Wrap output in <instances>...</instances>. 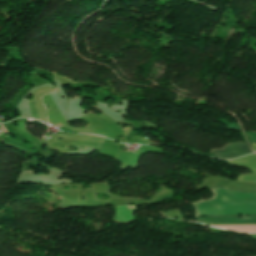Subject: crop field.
I'll return each mask as SVG.
<instances>
[{
  "mask_svg": "<svg viewBox=\"0 0 256 256\" xmlns=\"http://www.w3.org/2000/svg\"><path fill=\"white\" fill-rule=\"evenodd\" d=\"M211 153L216 157L232 159L252 153V151L247 147L245 142H240L228 144L223 149L212 150Z\"/></svg>",
  "mask_w": 256,
  "mask_h": 256,
  "instance_id": "8a807250",
  "label": "crop field"
},
{
  "mask_svg": "<svg viewBox=\"0 0 256 256\" xmlns=\"http://www.w3.org/2000/svg\"><path fill=\"white\" fill-rule=\"evenodd\" d=\"M197 220L206 225H219V224H256V216H244L243 219L238 217L230 218H209V217H196Z\"/></svg>",
  "mask_w": 256,
  "mask_h": 256,
  "instance_id": "ac0d7876",
  "label": "crop field"
},
{
  "mask_svg": "<svg viewBox=\"0 0 256 256\" xmlns=\"http://www.w3.org/2000/svg\"><path fill=\"white\" fill-rule=\"evenodd\" d=\"M215 227L231 229L238 232L256 233V225H221Z\"/></svg>",
  "mask_w": 256,
  "mask_h": 256,
  "instance_id": "34b2d1b8",
  "label": "crop field"
},
{
  "mask_svg": "<svg viewBox=\"0 0 256 256\" xmlns=\"http://www.w3.org/2000/svg\"><path fill=\"white\" fill-rule=\"evenodd\" d=\"M251 141H256V132H246Z\"/></svg>",
  "mask_w": 256,
  "mask_h": 256,
  "instance_id": "412701ff",
  "label": "crop field"
},
{
  "mask_svg": "<svg viewBox=\"0 0 256 256\" xmlns=\"http://www.w3.org/2000/svg\"><path fill=\"white\" fill-rule=\"evenodd\" d=\"M251 236H253V237H255V238H256V234H255V235H251Z\"/></svg>",
  "mask_w": 256,
  "mask_h": 256,
  "instance_id": "f4fd0767",
  "label": "crop field"
}]
</instances>
